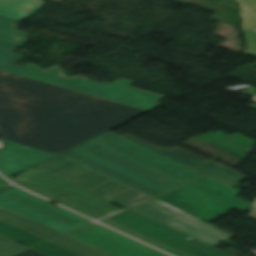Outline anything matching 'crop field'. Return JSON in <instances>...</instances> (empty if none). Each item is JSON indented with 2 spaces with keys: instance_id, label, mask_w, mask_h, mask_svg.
Returning <instances> with one entry per match:
<instances>
[{
  "instance_id": "1",
  "label": "crop field",
  "mask_w": 256,
  "mask_h": 256,
  "mask_svg": "<svg viewBox=\"0 0 256 256\" xmlns=\"http://www.w3.org/2000/svg\"><path fill=\"white\" fill-rule=\"evenodd\" d=\"M149 111L0 72V133L53 154Z\"/></svg>"
},
{
  "instance_id": "13",
  "label": "crop field",
  "mask_w": 256,
  "mask_h": 256,
  "mask_svg": "<svg viewBox=\"0 0 256 256\" xmlns=\"http://www.w3.org/2000/svg\"><path fill=\"white\" fill-rule=\"evenodd\" d=\"M197 137L241 157H246L255 144V141L239 133L228 136L217 131L201 134Z\"/></svg>"
},
{
  "instance_id": "16",
  "label": "crop field",
  "mask_w": 256,
  "mask_h": 256,
  "mask_svg": "<svg viewBox=\"0 0 256 256\" xmlns=\"http://www.w3.org/2000/svg\"><path fill=\"white\" fill-rule=\"evenodd\" d=\"M39 0H0V14L16 19H24L41 8Z\"/></svg>"
},
{
  "instance_id": "23",
  "label": "crop field",
  "mask_w": 256,
  "mask_h": 256,
  "mask_svg": "<svg viewBox=\"0 0 256 256\" xmlns=\"http://www.w3.org/2000/svg\"><path fill=\"white\" fill-rule=\"evenodd\" d=\"M27 249L29 248L0 235V256H12Z\"/></svg>"
},
{
  "instance_id": "22",
  "label": "crop field",
  "mask_w": 256,
  "mask_h": 256,
  "mask_svg": "<svg viewBox=\"0 0 256 256\" xmlns=\"http://www.w3.org/2000/svg\"><path fill=\"white\" fill-rule=\"evenodd\" d=\"M241 3L243 22L241 26L256 30V0H237Z\"/></svg>"
},
{
  "instance_id": "20",
  "label": "crop field",
  "mask_w": 256,
  "mask_h": 256,
  "mask_svg": "<svg viewBox=\"0 0 256 256\" xmlns=\"http://www.w3.org/2000/svg\"><path fill=\"white\" fill-rule=\"evenodd\" d=\"M80 256H110L67 235L50 241Z\"/></svg>"
},
{
  "instance_id": "7",
  "label": "crop field",
  "mask_w": 256,
  "mask_h": 256,
  "mask_svg": "<svg viewBox=\"0 0 256 256\" xmlns=\"http://www.w3.org/2000/svg\"><path fill=\"white\" fill-rule=\"evenodd\" d=\"M108 219L192 256H231L130 210Z\"/></svg>"
},
{
  "instance_id": "18",
  "label": "crop field",
  "mask_w": 256,
  "mask_h": 256,
  "mask_svg": "<svg viewBox=\"0 0 256 256\" xmlns=\"http://www.w3.org/2000/svg\"><path fill=\"white\" fill-rule=\"evenodd\" d=\"M4 180V178H2L0 176V181ZM0 234L3 236H6L8 238H11L15 241H21L27 245L30 246V248L46 241L43 240L33 234H30L18 227H14L4 221L0 220Z\"/></svg>"
},
{
  "instance_id": "28",
  "label": "crop field",
  "mask_w": 256,
  "mask_h": 256,
  "mask_svg": "<svg viewBox=\"0 0 256 256\" xmlns=\"http://www.w3.org/2000/svg\"><path fill=\"white\" fill-rule=\"evenodd\" d=\"M249 93L255 96L254 99H253V101L256 102V90L251 91V92H249Z\"/></svg>"
},
{
  "instance_id": "27",
  "label": "crop field",
  "mask_w": 256,
  "mask_h": 256,
  "mask_svg": "<svg viewBox=\"0 0 256 256\" xmlns=\"http://www.w3.org/2000/svg\"><path fill=\"white\" fill-rule=\"evenodd\" d=\"M252 212L248 214V216L253 217L254 219H256V208L251 210Z\"/></svg>"
},
{
  "instance_id": "6",
  "label": "crop field",
  "mask_w": 256,
  "mask_h": 256,
  "mask_svg": "<svg viewBox=\"0 0 256 256\" xmlns=\"http://www.w3.org/2000/svg\"><path fill=\"white\" fill-rule=\"evenodd\" d=\"M184 234L199 239L209 245L231 238V235L213 227L209 223L152 199L130 209Z\"/></svg>"
},
{
  "instance_id": "2",
  "label": "crop field",
  "mask_w": 256,
  "mask_h": 256,
  "mask_svg": "<svg viewBox=\"0 0 256 256\" xmlns=\"http://www.w3.org/2000/svg\"><path fill=\"white\" fill-rule=\"evenodd\" d=\"M112 151L131 157V160ZM60 156L151 197L203 177L180 163L110 132Z\"/></svg>"
},
{
  "instance_id": "5",
  "label": "crop field",
  "mask_w": 256,
  "mask_h": 256,
  "mask_svg": "<svg viewBox=\"0 0 256 256\" xmlns=\"http://www.w3.org/2000/svg\"><path fill=\"white\" fill-rule=\"evenodd\" d=\"M0 206L37 221L60 233H67L92 221L65 208L14 187L0 194Z\"/></svg>"
},
{
  "instance_id": "24",
  "label": "crop field",
  "mask_w": 256,
  "mask_h": 256,
  "mask_svg": "<svg viewBox=\"0 0 256 256\" xmlns=\"http://www.w3.org/2000/svg\"><path fill=\"white\" fill-rule=\"evenodd\" d=\"M39 252H42L48 256H78L74 253H71L61 247H58L50 242H47L43 245L33 248Z\"/></svg>"
},
{
  "instance_id": "12",
  "label": "crop field",
  "mask_w": 256,
  "mask_h": 256,
  "mask_svg": "<svg viewBox=\"0 0 256 256\" xmlns=\"http://www.w3.org/2000/svg\"><path fill=\"white\" fill-rule=\"evenodd\" d=\"M187 185L226 202L242 211H246L254 206L252 203L237 197L240 191L209 177H205Z\"/></svg>"
},
{
  "instance_id": "4",
  "label": "crop field",
  "mask_w": 256,
  "mask_h": 256,
  "mask_svg": "<svg viewBox=\"0 0 256 256\" xmlns=\"http://www.w3.org/2000/svg\"><path fill=\"white\" fill-rule=\"evenodd\" d=\"M35 167L95 194L104 193L110 196L114 201L125 203L128 208L151 198L141 192L60 156Z\"/></svg>"
},
{
  "instance_id": "26",
  "label": "crop field",
  "mask_w": 256,
  "mask_h": 256,
  "mask_svg": "<svg viewBox=\"0 0 256 256\" xmlns=\"http://www.w3.org/2000/svg\"><path fill=\"white\" fill-rule=\"evenodd\" d=\"M13 186L12 184L8 183L6 180L0 183V191L7 189Z\"/></svg>"
},
{
  "instance_id": "10",
  "label": "crop field",
  "mask_w": 256,
  "mask_h": 256,
  "mask_svg": "<svg viewBox=\"0 0 256 256\" xmlns=\"http://www.w3.org/2000/svg\"><path fill=\"white\" fill-rule=\"evenodd\" d=\"M207 222L236 209L187 185L156 198Z\"/></svg>"
},
{
  "instance_id": "25",
  "label": "crop field",
  "mask_w": 256,
  "mask_h": 256,
  "mask_svg": "<svg viewBox=\"0 0 256 256\" xmlns=\"http://www.w3.org/2000/svg\"><path fill=\"white\" fill-rule=\"evenodd\" d=\"M15 256H46V255H44L42 253H39V252H37V251H35L33 249H30L28 251H25L23 253L15 255Z\"/></svg>"
},
{
  "instance_id": "19",
  "label": "crop field",
  "mask_w": 256,
  "mask_h": 256,
  "mask_svg": "<svg viewBox=\"0 0 256 256\" xmlns=\"http://www.w3.org/2000/svg\"><path fill=\"white\" fill-rule=\"evenodd\" d=\"M10 179L13 182H15L16 184H18L19 186H21V187H23V188H25V189H27L29 191H32V192H34V193H36V194H38L40 196H43V197H45V198H47L49 200H52V201H54V202H56V203H58L60 205H63V206H65V207H67L69 209H72V210H74V211H76L78 213H81V214H83L85 216H88V217H90V218H92L94 220H98L100 218H103V217H101V216H99V215H97V214H95V213H93V212H91L89 210H86V209H84V208H82L80 206H77V205H75L73 203H70V202H68V201H66L64 199H61V198H59V197H57L55 195L47 193V192H45L43 190H40L38 188H35V187L31 186V185H28V184H26V183H24V182H22V181H20V180H18L16 178H10Z\"/></svg>"
},
{
  "instance_id": "14",
  "label": "crop field",
  "mask_w": 256,
  "mask_h": 256,
  "mask_svg": "<svg viewBox=\"0 0 256 256\" xmlns=\"http://www.w3.org/2000/svg\"><path fill=\"white\" fill-rule=\"evenodd\" d=\"M0 219L18 226L30 233H33L43 239L49 240V239H53L56 238L62 234L53 231L37 222H34L30 219H27L23 216H20L16 213H13L3 207L0 208Z\"/></svg>"
},
{
  "instance_id": "8",
  "label": "crop field",
  "mask_w": 256,
  "mask_h": 256,
  "mask_svg": "<svg viewBox=\"0 0 256 256\" xmlns=\"http://www.w3.org/2000/svg\"><path fill=\"white\" fill-rule=\"evenodd\" d=\"M16 177L28 184L48 191L59 197H61V195H70L71 198L69 199L64 197L61 198L80 205L104 217L119 211V209L110 205L109 201L35 167L16 175ZM29 178H31V180H29ZM36 182L39 183L37 184Z\"/></svg>"
},
{
  "instance_id": "17",
  "label": "crop field",
  "mask_w": 256,
  "mask_h": 256,
  "mask_svg": "<svg viewBox=\"0 0 256 256\" xmlns=\"http://www.w3.org/2000/svg\"><path fill=\"white\" fill-rule=\"evenodd\" d=\"M197 171L209 175L230 186L248 178L247 176L224 167L214 161L200 167Z\"/></svg>"
},
{
  "instance_id": "29",
  "label": "crop field",
  "mask_w": 256,
  "mask_h": 256,
  "mask_svg": "<svg viewBox=\"0 0 256 256\" xmlns=\"http://www.w3.org/2000/svg\"><path fill=\"white\" fill-rule=\"evenodd\" d=\"M252 108H255L256 109V104H252L250 105Z\"/></svg>"
},
{
  "instance_id": "3",
  "label": "crop field",
  "mask_w": 256,
  "mask_h": 256,
  "mask_svg": "<svg viewBox=\"0 0 256 256\" xmlns=\"http://www.w3.org/2000/svg\"><path fill=\"white\" fill-rule=\"evenodd\" d=\"M16 19L0 15V69L55 84L58 86L78 90L90 95L110 99L127 105L135 106L145 110H153L160 105L156 101L164 96L144 92L128 87L134 81L117 80L112 84L96 83L81 77H64L58 66H54L46 71L39 70L32 64L24 68L10 65L18 59L19 55L11 53V50L25 41L28 33L15 30Z\"/></svg>"
},
{
  "instance_id": "15",
  "label": "crop field",
  "mask_w": 256,
  "mask_h": 256,
  "mask_svg": "<svg viewBox=\"0 0 256 256\" xmlns=\"http://www.w3.org/2000/svg\"><path fill=\"white\" fill-rule=\"evenodd\" d=\"M124 138H126L130 141H133V142H135L139 145H142V146H144L148 149H151V150H153V151H155L159 154H162V155H164L168 158H171V159H173L177 162H180V163H182L186 166H189L193 169H195V168H197V167H199V166L208 162V161H206L202 158H199V157H197L193 154H190L186 151H183V150H181L177 147H174L172 149L164 151V150H162V149H160V148H158V147H156V146H154V145H152L148 142H145V141L131 135V134H128V135L124 136Z\"/></svg>"
},
{
  "instance_id": "11",
  "label": "crop field",
  "mask_w": 256,
  "mask_h": 256,
  "mask_svg": "<svg viewBox=\"0 0 256 256\" xmlns=\"http://www.w3.org/2000/svg\"><path fill=\"white\" fill-rule=\"evenodd\" d=\"M0 149V173L9 177L31 165H34L53 154L16 144L2 139Z\"/></svg>"
},
{
  "instance_id": "9",
  "label": "crop field",
  "mask_w": 256,
  "mask_h": 256,
  "mask_svg": "<svg viewBox=\"0 0 256 256\" xmlns=\"http://www.w3.org/2000/svg\"><path fill=\"white\" fill-rule=\"evenodd\" d=\"M67 235L112 256H167L97 223Z\"/></svg>"
},
{
  "instance_id": "21",
  "label": "crop field",
  "mask_w": 256,
  "mask_h": 256,
  "mask_svg": "<svg viewBox=\"0 0 256 256\" xmlns=\"http://www.w3.org/2000/svg\"><path fill=\"white\" fill-rule=\"evenodd\" d=\"M101 222L106 224V225H108V226H111V227H113V228H115V229H117V230H119L121 232H124V233H126L128 235H131L133 237H136V238H138V239H140V240H142L144 242H147V243H149V244H151V245H153V246H155L157 248H160V249L165 250V251H167L169 253H172L174 255H177V256H190V255H187V254H185L183 252H180V251H178L176 249H173V248H171L169 246H166V245L161 244V243H159L157 241H154V240H152V239H150L148 237H145L146 235L143 236V235H141V234H139L137 232H134V231H132V230H130L128 228H125V227H123V226H121V225H119L117 223H114V222L108 220V219H105V220H103Z\"/></svg>"
}]
</instances>
